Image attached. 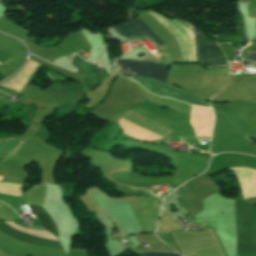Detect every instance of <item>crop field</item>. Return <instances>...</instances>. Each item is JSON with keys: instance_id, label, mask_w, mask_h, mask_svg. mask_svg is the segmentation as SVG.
<instances>
[{"instance_id": "obj_3", "label": "crop field", "mask_w": 256, "mask_h": 256, "mask_svg": "<svg viewBox=\"0 0 256 256\" xmlns=\"http://www.w3.org/2000/svg\"><path fill=\"white\" fill-rule=\"evenodd\" d=\"M135 77H136L138 83H140L147 90H149L150 92H152L156 95L184 101V102L195 104V105L210 107L208 103L199 101L196 98L192 97L191 95H189L177 88H174L170 85H167L160 81L149 79V78L138 77V76H135Z\"/></svg>"}, {"instance_id": "obj_9", "label": "crop field", "mask_w": 256, "mask_h": 256, "mask_svg": "<svg viewBox=\"0 0 256 256\" xmlns=\"http://www.w3.org/2000/svg\"><path fill=\"white\" fill-rule=\"evenodd\" d=\"M31 211L39 217L40 225L58 236L56 226L50 216L40 206H29Z\"/></svg>"}, {"instance_id": "obj_10", "label": "crop field", "mask_w": 256, "mask_h": 256, "mask_svg": "<svg viewBox=\"0 0 256 256\" xmlns=\"http://www.w3.org/2000/svg\"><path fill=\"white\" fill-rule=\"evenodd\" d=\"M22 143L14 139H0V153L11 156Z\"/></svg>"}, {"instance_id": "obj_13", "label": "crop field", "mask_w": 256, "mask_h": 256, "mask_svg": "<svg viewBox=\"0 0 256 256\" xmlns=\"http://www.w3.org/2000/svg\"><path fill=\"white\" fill-rule=\"evenodd\" d=\"M249 138L251 141H253L254 143H256V137H247Z\"/></svg>"}, {"instance_id": "obj_11", "label": "crop field", "mask_w": 256, "mask_h": 256, "mask_svg": "<svg viewBox=\"0 0 256 256\" xmlns=\"http://www.w3.org/2000/svg\"><path fill=\"white\" fill-rule=\"evenodd\" d=\"M142 256H179L178 254L171 253H141Z\"/></svg>"}, {"instance_id": "obj_6", "label": "crop field", "mask_w": 256, "mask_h": 256, "mask_svg": "<svg viewBox=\"0 0 256 256\" xmlns=\"http://www.w3.org/2000/svg\"><path fill=\"white\" fill-rule=\"evenodd\" d=\"M213 123V112L204 107H193L190 124L196 136H210Z\"/></svg>"}, {"instance_id": "obj_7", "label": "crop field", "mask_w": 256, "mask_h": 256, "mask_svg": "<svg viewBox=\"0 0 256 256\" xmlns=\"http://www.w3.org/2000/svg\"><path fill=\"white\" fill-rule=\"evenodd\" d=\"M0 232L3 233L4 235L21 240L30 244L38 245V246H43V247H48L52 249H57V250H62L59 242L56 241H50V240H43L39 239L37 237L29 236L26 235L22 232H19L15 229H12L8 227L3 221L0 220Z\"/></svg>"}, {"instance_id": "obj_1", "label": "crop field", "mask_w": 256, "mask_h": 256, "mask_svg": "<svg viewBox=\"0 0 256 256\" xmlns=\"http://www.w3.org/2000/svg\"><path fill=\"white\" fill-rule=\"evenodd\" d=\"M120 75H138L161 81L167 80L168 66L146 61L118 59Z\"/></svg>"}, {"instance_id": "obj_12", "label": "crop field", "mask_w": 256, "mask_h": 256, "mask_svg": "<svg viewBox=\"0 0 256 256\" xmlns=\"http://www.w3.org/2000/svg\"><path fill=\"white\" fill-rule=\"evenodd\" d=\"M245 59L256 61V50L249 49Z\"/></svg>"}, {"instance_id": "obj_2", "label": "crop field", "mask_w": 256, "mask_h": 256, "mask_svg": "<svg viewBox=\"0 0 256 256\" xmlns=\"http://www.w3.org/2000/svg\"><path fill=\"white\" fill-rule=\"evenodd\" d=\"M194 61H198L199 42H196V30L189 25ZM199 62L204 66L224 65L225 56L216 42H200Z\"/></svg>"}, {"instance_id": "obj_4", "label": "crop field", "mask_w": 256, "mask_h": 256, "mask_svg": "<svg viewBox=\"0 0 256 256\" xmlns=\"http://www.w3.org/2000/svg\"><path fill=\"white\" fill-rule=\"evenodd\" d=\"M83 85L57 83L45 92L53 95L60 101L57 108L70 113L75 104L81 99Z\"/></svg>"}, {"instance_id": "obj_8", "label": "crop field", "mask_w": 256, "mask_h": 256, "mask_svg": "<svg viewBox=\"0 0 256 256\" xmlns=\"http://www.w3.org/2000/svg\"><path fill=\"white\" fill-rule=\"evenodd\" d=\"M120 125L123 128V131L137 139L144 140V141H151V140H158L161 137L142 128L141 126L125 119L122 117L120 120Z\"/></svg>"}, {"instance_id": "obj_5", "label": "crop field", "mask_w": 256, "mask_h": 256, "mask_svg": "<svg viewBox=\"0 0 256 256\" xmlns=\"http://www.w3.org/2000/svg\"><path fill=\"white\" fill-rule=\"evenodd\" d=\"M120 35L128 38H147L156 48L164 43L138 18L135 17L126 24L114 27Z\"/></svg>"}]
</instances>
